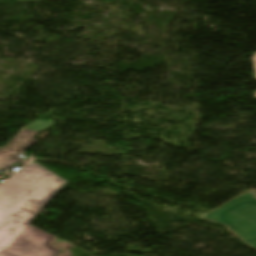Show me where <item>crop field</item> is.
<instances>
[{"mask_svg":"<svg viewBox=\"0 0 256 256\" xmlns=\"http://www.w3.org/2000/svg\"><path fill=\"white\" fill-rule=\"evenodd\" d=\"M67 181L30 163L0 186V256H56V238L29 223Z\"/></svg>","mask_w":256,"mask_h":256,"instance_id":"8a807250","label":"crop field"},{"mask_svg":"<svg viewBox=\"0 0 256 256\" xmlns=\"http://www.w3.org/2000/svg\"><path fill=\"white\" fill-rule=\"evenodd\" d=\"M203 218L228 226L245 243L256 249V198L253 194L242 195Z\"/></svg>","mask_w":256,"mask_h":256,"instance_id":"ac0d7876","label":"crop field"},{"mask_svg":"<svg viewBox=\"0 0 256 256\" xmlns=\"http://www.w3.org/2000/svg\"><path fill=\"white\" fill-rule=\"evenodd\" d=\"M52 125H54L52 122L35 120L16 134L3 148L0 147V169L11 170L16 166L23 167L24 164L29 162L28 159L17 156L18 153L26 150L35 142L32 139L33 137Z\"/></svg>","mask_w":256,"mask_h":256,"instance_id":"34b2d1b8","label":"crop field"},{"mask_svg":"<svg viewBox=\"0 0 256 256\" xmlns=\"http://www.w3.org/2000/svg\"><path fill=\"white\" fill-rule=\"evenodd\" d=\"M252 60L254 61L255 71H256V55L252 58ZM255 97H256V94H255Z\"/></svg>","mask_w":256,"mask_h":256,"instance_id":"412701ff","label":"crop field"},{"mask_svg":"<svg viewBox=\"0 0 256 256\" xmlns=\"http://www.w3.org/2000/svg\"><path fill=\"white\" fill-rule=\"evenodd\" d=\"M20 1H41V0H20Z\"/></svg>","mask_w":256,"mask_h":256,"instance_id":"f4fd0767","label":"crop field"}]
</instances>
